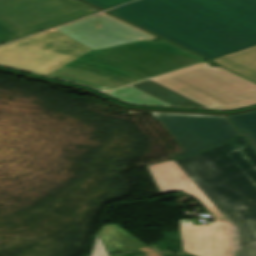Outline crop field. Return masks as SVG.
Returning a JSON list of instances; mask_svg holds the SVG:
<instances>
[{
    "label": "crop field",
    "mask_w": 256,
    "mask_h": 256,
    "mask_svg": "<svg viewBox=\"0 0 256 256\" xmlns=\"http://www.w3.org/2000/svg\"><path fill=\"white\" fill-rule=\"evenodd\" d=\"M155 37L102 13L1 46L0 64L109 92L204 61Z\"/></svg>",
    "instance_id": "8a807250"
},
{
    "label": "crop field",
    "mask_w": 256,
    "mask_h": 256,
    "mask_svg": "<svg viewBox=\"0 0 256 256\" xmlns=\"http://www.w3.org/2000/svg\"><path fill=\"white\" fill-rule=\"evenodd\" d=\"M116 14L207 59L256 45V0H138Z\"/></svg>",
    "instance_id": "ac0d7876"
},
{
    "label": "crop field",
    "mask_w": 256,
    "mask_h": 256,
    "mask_svg": "<svg viewBox=\"0 0 256 256\" xmlns=\"http://www.w3.org/2000/svg\"><path fill=\"white\" fill-rule=\"evenodd\" d=\"M170 163L231 224L233 256H256V153L244 137Z\"/></svg>",
    "instance_id": "34b2d1b8"
},
{
    "label": "crop field",
    "mask_w": 256,
    "mask_h": 256,
    "mask_svg": "<svg viewBox=\"0 0 256 256\" xmlns=\"http://www.w3.org/2000/svg\"><path fill=\"white\" fill-rule=\"evenodd\" d=\"M199 64L106 93L131 104L234 109L256 103V84L222 68Z\"/></svg>",
    "instance_id": "412701ff"
},
{
    "label": "crop field",
    "mask_w": 256,
    "mask_h": 256,
    "mask_svg": "<svg viewBox=\"0 0 256 256\" xmlns=\"http://www.w3.org/2000/svg\"><path fill=\"white\" fill-rule=\"evenodd\" d=\"M95 12L77 0H0V43Z\"/></svg>",
    "instance_id": "f4fd0767"
},
{
    "label": "crop field",
    "mask_w": 256,
    "mask_h": 256,
    "mask_svg": "<svg viewBox=\"0 0 256 256\" xmlns=\"http://www.w3.org/2000/svg\"><path fill=\"white\" fill-rule=\"evenodd\" d=\"M185 150L171 159L204 151L240 135L224 116L150 112Z\"/></svg>",
    "instance_id": "dd49c442"
},
{
    "label": "crop field",
    "mask_w": 256,
    "mask_h": 256,
    "mask_svg": "<svg viewBox=\"0 0 256 256\" xmlns=\"http://www.w3.org/2000/svg\"><path fill=\"white\" fill-rule=\"evenodd\" d=\"M99 233L108 253L141 250L146 256H161L115 224L104 226Z\"/></svg>",
    "instance_id": "e52e79f7"
},
{
    "label": "crop field",
    "mask_w": 256,
    "mask_h": 256,
    "mask_svg": "<svg viewBox=\"0 0 256 256\" xmlns=\"http://www.w3.org/2000/svg\"><path fill=\"white\" fill-rule=\"evenodd\" d=\"M212 62L256 83V47L212 60Z\"/></svg>",
    "instance_id": "d8731c3e"
},
{
    "label": "crop field",
    "mask_w": 256,
    "mask_h": 256,
    "mask_svg": "<svg viewBox=\"0 0 256 256\" xmlns=\"http://www.w3.org/2000/svg\"><path fill=\"white\" fill-rule=\"evenodd\" d=\"M228 117L256 149V110Z\"/></svg>",
    "instance_id": "5a996713"
},
{
    "label": "crop field",
    "mask_w": 256,
    "mask_h": 256,
    "mask_svg": "<svg viewBox=\"0 0 256 256\" xmlns=\"http://www.w3.org/2000/svg\"><path fill=\"white\" fill-rule=\"evenodd\" d=\"M91 256H109L98 233L94 242Z\"/></svg>",
    "instance_id": "3316defc"
},
{
    "label": "crop field",
    "mask_w": 256,
    "mask_h": 256,
    "mask_svg": "<svg viewBox=\"0 0 256 256\" xmlns=\"http://www.w3.org/2000/svg\"><path fill=\"white\" fill-rule=\"evenodd\" d=\"M92 4H95L103 9L130 1V0H86Z\"/></svg>",
    "instance_id": "28ad6ade"
}]
</instances>
